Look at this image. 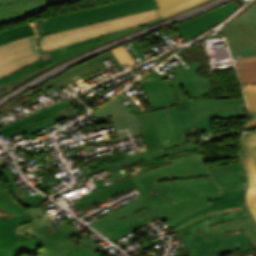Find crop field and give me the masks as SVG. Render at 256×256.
<instances>
[{"label":"crop field","mask_w":256,"mask_h":256,"mask_svg":"<svg viewBox=\"0 0 256 256\" xmlns=\"http://www.w3.org/2000/svg\"><path fill=\"white\" fill-rule=\"evenodd\" d=\"M107 59H109V56L106 53L88 63H85V64L67 72L68 75L64 74L49 84L56 89H58L62 86H65L67 84H70L80 78H83L93 72H96V71L106 67V65L103 61H105ZM96 68H98V69H96Z\"/></svg>","instance_id":"crop-field-18"},{"label":"crop field","mask_w":256,"mask_h":256,"mask_svg":"<svg viewBox=\"0 0 256 256\" xmlns=\"http://www.w3.org/2000/svg\"><path fill=\"white\" fill-rule=\"evenodd\" d=\"M247 115H252L253 116L252 120L256 119V112L248 111Z\"/></svg>","instance_id":"crop-field-40"},{"label":"crop field","mask_w":256,"mask_h":256,"mask_svg":"<svg viewBox=\"0 0 256 256\" xmlns=\"http://www.w3.org/2000/svg\"><path fill=\"white\" fill-rule=\"evenodd\" d=\"M26 213H23V214H26ZM23 214L11 215L10 213L6 212L5 210H3L0 207V219L9 218V217H15V216L23 215Z\"/></svg>","instance_id":"crop-field-38"},{"label":"crop field","mask_w":256,"mask_h":256,"mask_svg":"<svg viewBox=\"0 0 256 256\" xmlns=\"http://www.w3.org/2000/svg\"><path fill=\"white\" fill-rule=\"evenodd\" d=\"M135 186L144 196L90 223L112 240H119L140 227L157 219L152 213L161 208L145 194L134 181L114 187L86 200L80 201L85 207ZM114 241V242H115Z\"/></svg>","instance_id":"crop-field-2"},{"label":"crop field","mask_w":256,"mask_h":256,"mask_svg":"<svg viewBox=\"0 0 256 256\" xmlns=\"http://www.w3.org/2000/svg\"><path fill=\"white\" fill-rule=\"evenodd\" d=\"M186 135L197 134L196 130L212 129L211 120L196 121L190 109L188 102H184L175 106ZM199 137V136H198ZM200 139V138H199ZM201 141V140H200Z\"/></svg>","instance_id":"crop-field-23"},{"label":"crop field","mask_w":256,"mask_h":256,"mask_svg":"<svg viewBox=\"0 0 256 256\" xmlns=\"http://www.w3.org/2000/svg\"><path fill=\"white\" fill-rule=\"evenodd\" d=\"M249 216L248 210L214 216L207 219L208 222L196 223L177 234L191 256H218L217 252L235 249H242V253L255 249L250 248L243 231L213 235L209 225Z\"/></svg>","instance_id":"crop-field-4"},{"label":"crop field","mask_w":256,"mask_h":256,"mask_svg":"<svg viewBox=\"0 0 256 256\" xmlns=\"http://www.w3.org/2000/svg\"><path fill=\"white\" fill-rule=\"evenodd\" d=\"M248 103V110L256 111V91L244 92ZM256 126V120L246 125V129Z\"/></svg>","instance_id":"crop-field-35"},{"label":"crop field","mask_w":256,"mask_h":256,"mask_svg":"<svg viewBox=\"0 0 256 256\" xmlns=\"http://www.w3.org/2000/svg\"><path fill=\"white\" fill-rule=\"evenodd\" d=\"M0 177L5 185L8 187L9 191L13 194V196L25 206L37 205L47 200L46 198L39 195L40 193H37L32 197L28 193L24 192L22 196H19L15 190L17 186L12 181V178L7 170L0 171Z\"/></svg>","instance_id":"crop-field-26"},{"label":"crop field","mask_w":256,"mask_h":256,"mask_svg":"<svg viewBox=\"0 0 256 256\" xmlns=\"http://www.w3.org/2000/svg\"><path fill=\"white\" fill-rule=\"evenodd\" d=\"M163 17H159L155 20H152L148 23H145L139 27H135V28H131V29H126V30H121V31H117V32H113L107 35H103L97 38H92V39H88V40H84L75 44H71L59 49H55L52 50L50 52L47 53H43L44 56L46 58L39 60L38 62L25 67L17 72H14L6 77L0 78V86L8 89L11 86L15 85L16 83L48 68L51 67L69 57H72L76 54H79L83 51H86L90 48H93L95 46H98L102 43H105L107 41H110L112 39H115L117 37H120L124 34H127L129 32H132L134 30H137L139 28H142L146 25H149L151 23H154L160 19H162Z\"/></svg>","instance_id":"crop-field-8"},{"label":"crop field","mask_w":256,"mask_h":256,"mask_svg":"<svg viewBox=\"0 0 256 256\" xmlns=\"http://www.w3.org/2000/svg\"><path fill=\"white\" fill-rule=\"evenodd\" d=\"M204 160L203 154L174 159L171 160L173 164L126 178L83 198L134 180L163 209L154 215L170 226L187 215L210 206L207 199L221 196V192L246 189L247 183L219 188L208 167L204 165Z\"/></svg>","instance_id":"crop-field-1"},{"label":"crop field","mask_w":256,"mask_h":256,"mask_svg":"<svg viewBox=\"0 0 256 256\" xmlns=\"http://www.w3.org/2000/svg\"><path fill=\"white\" fill-rule=\"evenodd\" d=\"M79 111H77L75 108H73L72 106L58 112V114L63 118H68L76 113H78Z\"/></svg>","instance_id":"crop-field-37"},{"label":"crop field","mask_w":256,"mask_h":256,"mask_svg":"<svg viewBox=\"0 0 256 256\" xmlns=\"http://www.w3.org/2000/svg\"><path fill=\"white\" fill-rule=\"evenodd\" d=\"M220 186L247 182L242 162L209 168Z\"/></svg>","instance_id":"crop-field-19"},{"label":"crop field","mask_w":256,"mask_h":256,"mask_svg":"<svg viewBox=\"0 0 256 256\" xmlns=\"http://www.w3.org/2000/svg\"><path fill=\"white\" fill-rule=\"evenodd\" d=\"M0 206L11 214L23 213L26 210L14 201V199L7 192L0 180Z\"/></svg>","instance_id":"crop-field-30"},{"label":"crop field","mask_w":256,"mask_h":256,"mask_svg":"<svg viewBox=\"0 0 256 256\" xmlns=\"http://www.w3.org/2000/svg\"><path fill=\"white\" fill-rule=\"evenodd\" d=\"M197 148H199V146L196 145L195 143L185 144V145H182L180 147L163 150L161 152L145 154V155H142L140 157L130 158V159H125V160H121V161H118V162H114V163L108 164L106 166L100 167L98 169L92 170V171L87 172V173L82 174V175L84 177H86L90 174H93L95 172L102 171V170H105V169H108V168H111V167H113V168L119 167V166H122V165H125V164H129V163H132V162H135V161L142 160V159L147 161V160L154 159V158H157V157L166 156V155H170V154H174V153H178V152H183V151L194 150V149H197Z\"/></svg>","instance_id":"crop-field-24"},{"label":"crop field","mask_w":256,"mask_h":256,"mask_svg":"<svg viewBox=\"0 0 256 256\" xmlns=\"http://www.w3.org/2000/svg\"><path fill=\"white\" fill-rule=\"evenodd\" d=\"M155 0H120L70 14L44 18L42 30L37 36L59 32L90 23L156 8Z\"/></svg>","instance_id":"crop-field-6"},{"label":"crop field","mask_w":256,"mask_h":256,"mask_svg":"<svg viewBox=\"0 0 256 256\" xmlns=\"http://www.w3.org/2000/svg\"><path fill=\"white\" fill-rule=\"evenodd\" d=\"M4 161H2L1 159H0V164H2Z\"/></svg>","instance_id":"crop-field-43"},{"label":"crop field","mask_w":256,"mask_h":256,"mask_svg":"<svg viewBox=\"0 0 256 256\" xmlns=\"http://www.w3.org/2000/svg\"><path fill=\"white\" fill-rule=\"evenodd\" d=\"M35 37L32 35L0 46V77L41 59L35 48Z\"/></svg>","instance_id":"crop-field-9"},{"label":"crop field","mask_w":256,"mask_h":256,"mask_svg":"<svg viewBox=\"0 0 256 256\" xmlns=\"http://www.w3.org/2000/svg\"><path fill=\"white\" fill-rule=\"evenodd\" d=\"M255 221H256V209H250Z\"/></svg>","instance_id":"crop-field-41"},{"label":"crop field","mask_w":256,"mask_h":256,"mask_svg":"<svg viewBox=\"0 0 256 256\" xmlns=\"http://www.w3.org/2000/svg\"><path fill=\"white\" fill-rule=\"evenodd\" d=\"M239 18L256 27V3L253 6H251L249 9H247L242 15H240ZM231 55L232 57L255 56L256 52L236 53Z\"/></svg>","instance_id":"crop-field-32"},{"label":"crop field","mask_w":256,"mask_h":256,"mask_svg":"<svg viewBox=\"0 0 256 256\" xmlns=\"http://www.w3.org/2000/svg\"><path fill=\"white\" fill-rule=\"evenodd\" d=\"M246 199L249 208H256V188H248Z\"/></svg>","instance_id":"crop-field-36"},{"label":"crop field","mask_w":256,"mask_h":256,"mask_svg":"<svg viewBox=\"0 0 256 256\" xmlns=\"http://www.w3.org/2000/svg\"><path fill=\"white\" fill-rule=\"evenodd\" d=\"M226 37L231 53L256 51V28L240 19L220 30Z\"/></svg>","instance_id":"crop-field-14"},{"label":"crop field","mask_w":256,"mask_h":256,"mask_svg":"<svg viewBox=\"0 0 256 256\" xmlns=\"http://www.w3.org/2000/svg\"><path fill=\"white\" fill-rule=\"evenodd\" d=\"M28 214L0 220V248L16 245L15 242L30 238L32 236H20L14 233L15 229L22 224L29 222Z\"/></svg>","instance_id":"crop-field-21"},{"label":"crop field","mask_w":256,"mask_h":256,"mask_svg":"<svg viewBox=\"0 0 256 256\" xmlns=\"http://www.w3.org/2000/svg\"><path fill=\"white\" fill-rule=\"evenodd\" d=\"M17 191L20 195L23 193V190L21 188H18Z\"/></svg>","instance_id":"crop-field-42"},{"label":"crop field","mask_w":256,"mask_h":256,"mask_svg":"<svg viewBox=\"0 0 256 256\" xmlns=\"http://www.w3.org/2000/svg\"><path fill=\"white\" fill-rule=\"evenodd\" d=\"M188 102L197 120L243 116L242 100L195 99Z\"/></svg>","instance_id":"crop-field-11"},{"label":"crop field","mask_w":256,"mask_h":256,"mask_svg":"<svg viewBox=\"0 0 256 256\" xmlns=\"http://www.w3.org/2000/svg\"><path fill=\"white\" fill-rule=\"evenodd\" d=\"M244 209H247L246 205L237 206V207H231V208L217 210V211H214V210L213 211H209V212H207V213H205L203 215H200V216H198V217H196V218H194V219H192V220L182 224L181 226H179V227H177V228H175L173 230H175L177 232V231H179V230H181L183 228H186V227H188V226H190V225H192V224H194L196 222H199L201 220L209 218V217H211L213 215H219V214H223V213H228V212L238 211V210H244Z\"/></svg>","instance_id":"crop-field-31"},{"label":"crop field","mask_w":256,"mask_h":256,"mask_svg":"<svg viewBox=\"0 0 256 256\" xmlns=\"http://www.w3.org/2000/svg\"><path fill=\"white\" fill-rule=\"evenodd\" d=\"M204 0H160L157 1L163 17L170 16L179 11L192 7Z\"/></svg>","instance_id":"crop-field-29"},{"label":"crop field","mask_w":256,"mask_h":256,"mask_svg":"<svg viewBox=\"0 0 256 256\" xmlns=\"http://www.w3.org/2000/svg\"><path fill=\"white\" fill-rule=\"evenodd\" d=\"M135 115L142 137L149 150L127 156L126 158L157 152L187 143L178 113L174 106Z\"/></svg>","instance_id":"crop-field-5"},{"label":"crop field","mask_w":256,"mask_h":256,"mask_svg":"<svg viewBox=\"0 0 256 256\" xmlns=\"http://www.w3.org/2000/svg\"><path fill=\"white\" fill-rule=\"evenodd\" d=\"M73 219L75 218L71 217L53 228L50 223L31 228L35 232L32 236H36L39 242L50 251L54 250L58 253L69 245L71 247L75 245L68 240L72 235L79 232L68 224Z\"/></svg>","instance_id":"crop-field-13"},{"label":"crop field","mask_w":256,"mask_h":256,"mask_svg":"<svg viewBox=\"0 0 256 256\" xmlns=\"http://www.w3.org/2000/svg\"><path fill=\"white\" fill-rule=\"evenodd\" d=\"M70 240L77 245L72 248L69 246L61 251L59 254L55 253L54 251L50 252L42 246L40 249H38L36 256H99L93 250L100 246L91 241L89 238L82 235L80 232L71 237ZM21 256L32 255L23 254Z\"/></svg>","instance_id":"crop-field-16"},{"label":"crop field","mask_w":256,"mask_h":256,"mask_svg":"<svg viewBox=\"0 0 256 256\" xmlns=\"http://www.w3.org/2000/svg\"><path fill=\"white\" fill-rule=\"evenodd\" d=\"M111 51L116 56V58L120 61L121 64L128 63L129 66L135 64V61L132 59V57L130 56V54L127 52V50L124 48L123 45Z\"/></svg>","instance_id":"crop-field-34"},{"label":"crop field","mask_w":256,"mask_h":256,"mask_svg":"<svg viewBox=\"0 0 256 256\" xmlns=\"http://www.w3.org/2000/svg\"><path fill=\"white\" fill-rule=\"evenodd\" d=\"M92 114L98 118L112 116L116 130L128 127L131 137L141 135L136 118L134 117L135 115H129L118 96H115L103 106L99 107Z\"/></svg>","instance_id":"crop-field-15"},{"label":"crop field","mask_w":256,"mask_h":256,"mask_svg":"<svg viewBox=\"0 0 256 256\" xmlns=\"http://www.w3.org/2000/svg\"><path fill=\"white\" fill-rule=\"evenodd\" d=\"M240 155L249 177L248 187H256V131L243 136Z\"/></svg>","instance_id":"crop-field-17"},{"label":"crop field","mask_w":256,"mask_h":256,"mask_svg":"<svg viewBox=\"0 0 256 256\" xmlns=\"http://www.w3.org/2000/svg\"><path fill=\"white\" fill-rule=\"evenodd\" d=\"M174 70L175 81L163 83L156 69L138 81L149 97L154 109L170 107L183 101L203 98L211 92L210 83L196 74L199 62Z\"/></svg>","instance_id":"crop-field-3"},{"label":"crop field","mask_w":256,"mask_h":256,"mask_svg":"<svg viewBox=\"0 0 256 256\" xmlns=\"http://www.w3.org/2000/svg\"><path fill=\"white\" fill-rule=\"evenodd\" d=\"M245 192H246V190L226 192V193H222L223 196H221V197L209 199L212 206L202 209V210L180 220L179 222L175 223L171 227L173 229V228L181 225L182 223H184V222H186V221H188L206 211H209V210H213V209L217 210V209H222V208H226V207L245 204V200H244Z\"/></svg>","instance_id":"crop-field-20"},{"label":"crop field","mask_w":256,"mask_h":256,"mask_svg":"<svg viewBox=\"0 0 256 256\" xmlns=\"http://www.w3.org/2000/svg\"><path fill=\"white\" fill-rule=\"evenodd\" d=\"M161 16L159 9L119 17L59 33L38 37L43 52L50 51L87 38L97 37L116 30L139 26Z\"/></svg>","instance_id":"crop-field-7"},{"label":"crop field","mask_w":256,"mask_h":256,"mask_svg":"<svg viewBox=\"0 0 256 256\" xmlns=\"http://www.w3.org/2000/svg\"><path fill=\"white\" fill-rule=\"evenodd\" d=\"M234 61L241 83L256 84V56Z\"/></svg>","instance_id":"crop-field-27"},{"label":"crop field","mask_w":256,"mask_h":256,"mask_svg":"<svg viewBox=\"0 0 256 256\" xmlns=\"http://www.w3.org/2000/svg\"><path fill=\"white\" fill-rule=\"evenodd\" d=\"M66 101L57 103L47 109H44L42 111L29 115L24 119H20L14 123H11L1 128L0 133L6 138L9 136L12 138L14 137L13 135L24 133V132H26L28 135L37 133L53 125L54 123L62 120V118L56 112L71 105ZM45 116H47V118H45ZM31 137L34 138L33 136Z\"/></svg>","instance_id":"crop-field-10"},{"label":"crop field","mask_w":256,"mask_h":256,"mask_svg":"<svg viewBox=\"0 0 256 256\" xmlns=\"http://www.w3.org/2000/svg\"><path fill=\"white\" fill-rule=\"evenodd\" d=\"M65 1L70 0H0V15L36 9Z\"/></svg>","instance_id":"crop-field-25"},{"label":"crop field","mask_w":256,"mask_h":256,"mask_svg":"<svg viewBox=\"0 0 256 256\" xmlns=\"http://www.w3.org/2000/svg\"><path fill=\"white\" fill-rule=\"evenodd\" d=\"M35 34L31 27L21 31L12 32L7 35L0 36V45L17 40L19 38Z\"/></svg>","instance_id":"crop-field-33"},{"label":"crop field","mask_w":256,"mask_h":256,"mask_svg":"<svg viewBox=\"0 0 256 256\" xmlns=\"http://www.w3.org/2000/svg\"><path fill=\"white\" fill-rule=\"evenodd\" d=\"M157 1V0H156Z\"/></svg>","instance_id":"crop-field-44"},{"label":"crop field","mask_w":256,"mask_h":256,"mask_svg":"<svg viewBox=\"0 0 256 256\" xmlns=\"http://www.w3.org/2000/svg\"><path fill=\"white\" fill-rule=\"evenodd\" d=\"M241 85L244 91L256 90V85H252V84H241Z\"/></svg>","instance_id":"crop-field-39"},{"label":"crop field","mask_w":256,"mask_h":256,"mask_svg":"<svg viewBox=\"0 0 256 256\" xmlns=\"http://www.w3.org/2000/svg\"><path fill=\"white\" fill-rule=\"evenodd\" d=\"M211 228L214 234L243 229L250 246H256V225L252 217L216 224Z\"/></svg>","instance_id":"crop-field-22"},{"label":"crop field","mask_w":256,"mask_h":256,"mask_svg":"<svg viewBox=\"0 0 256 256\" xmlns=\"http://www.w3.org/2000/svg\"><path fill=\"white\" fill-rule=\"evenodd\" d=\"M18 245L0 249V256H19L22 253L35 255L41 247L35 237L17 242Z\"/></svg>","instance_id":"crop-field-28"},{"label":"crop field","mask_w":256,"mask_h":256,"mask_svg":"<svg viewBox=\"0 0 256 256\" xmlns=\"http://www.w3.org/2000/svg\"><path fill=\"white\" fill-rule=\"evenodd\" d=\"M238 7L239 6L230 2L218 9L207 12L196 18L181 22L175 26L186 42L189 39L203 33L216 23L223 21Z\"/></svg>","instance_id":"crop-field-12"}]
</instances>
